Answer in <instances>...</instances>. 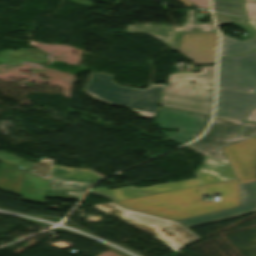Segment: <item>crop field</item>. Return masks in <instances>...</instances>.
<instances>
[{"mask_svg":"<svg viewBox=\"0 0 256 256\" xmlns=\"http://www.w3.org/2000/svg\"><path fill=\"white\" fill-rule=\"evenodd\" d=\"M220 191V202H203L200 186L116 201V203L164 218L177 220L239 205L238 181L231 180L203 186V193Z\"/></svg>","mask_w":256,"mask_h":256,"instance_id":"1","label":"crop field"},{"mask_svg":"<svg viewBox=\"0 0 256 256\" xmlns=\"http://www.w3.org/2000/svg\"><path fill=\"white\" fill-rule=\"evenodd\" d=\"M114 76L91 73L83 91L96 100L127 106L142 117L154 118L165 85L151 84L144 90L134 89L114 83L112 81Z\"/></svg>","mask_w":256,"mask_h":256,"instance_id":"2","label":"crop field"},{"mask_svg":"<svg viewBox=\"0 0 256 256\" xmlns=\"http://www.w3.org/2000/svg\"><path fill=\"white\" fill-rule=\"evenodd\" d=\"M202 73L172 74L162 96V106L210 115L213 105L215 66L201 67ZM189 81L195 82L194 84Z\"/></svg>","mask_w":256,"mask_h":256,"instance_id":"3","label":"crop field"},{"mask_svg":"<svg viewBox=\"0 0 256 256\" xmlns=\"http://www.w3.org/2000/svg\"><path fill=\"white\" fill-rule=\"evenodd\" d=\"M93 207L153 235L175 251L200 240L177 222L123 209L113 202Z\"/></svg>","mask_w":256,"mask_h":256,"instance_id":"4","label":"crop field"},{"mask_svg":"<svg viewBox=\"0 0 256 256\" xmlns=\"http://www.w3.org/2000/svg\"><path fill=\"white\" fill-rule=\"evenodd\" d=\"M241 123L214 117L208 132L200 140L185 147L230 165L222 147L256 135V124L245 122L239 138H236Z\"/></svg>","mask_w":256,"mask_h":256,"instance_id":"5","label":"crop field"},{"mask_svg":"<svg viewBox=\"0 0 256 256\" xmlns=\"http://www.w3.org/2000/svg\"><path fill=\"white\" fill-rule=\"evenodd\" d=\"M209 118L210 116L200 113L160 106L154 123L162 129L178 130L175 134L162 132L171 142L182 145L201 135Z\"/></svg>","mask_w":256,"mask_h":256,"instance_id":"6","label":"crop field"},{"mask_svg":"<svg viewBox=\"0 0 256 256\" xmlns=\"http://www.w3.org/2000/svg\"><path fill=\"white\" fill-rule=\"evenodd\" d=\"M218 86L256 93V51L243 56L221 57Z\"/></svg>","mask_w":256,"mask_h":256,"instance_id":"7","label":"crop field"},{"mask_svg":"<svg viewBox=\"0 0 256 256\" xmlns=\"http://www.w3.org/2000/svg\"><path fill=\"white\" fill-rule=\"evenodd\" d=\"M49 181L0 162V190L21 195V200L45 203Z\"/></svg>","mask_w":256,"mask_h":256,"instance_id":"8","label":"crop field"},{"mask_svg":"<svg viewBox=\"0 0 256 256\" xmlns=\"http://www.w3.org/2000/svg\"><path fill=\"white\" fill-rule=\"evenodd\" d=\"M223 149L241 184L256 180V136Z\"/></svg>","mask_w":256,"mask_h":256,"instance_id":"9","label":"crop field"},{"mask_svg":"<svg viewBox=\"0 0 256 256\" xmlns=\"http://www.w3.org/2000/svg\"><path fill=\"white\" fill-rule=\"evenodd\" d=\"M217 32L184 34L178 52L197 65L215 64Z\"/></svg>","mask_w":256,"mask_h":256,"instance_id":"10","label":"crop field"},{"mask_svg":"<svg viewBox=\"0 0 256 256\" xmlns=\"http://www.w3.org/2000/svg\"><path fill=\"white\" fill-rule=\"evenodd\" d=\"M241 200L242 206L206 214L202 216L192 217L179 220L187 228L219 221L256 211V181L241 185Z\"/></svg>","mask_w":256,"mask_h":256,"instance_id":"11","label":"crop field"},{"mask_svg":"<svg viewBox=\"0 0 256 256\" xmlns=\"http://www.w3.org/2000/svg\"><path fill=\"white\" fill-rule=\"evenodd\" d=\"M255 107V94L218 88L215 116L242 121L245 114Z\"/></svg>","mask_w":256,"mask_h":256,"instance_id":"12","label":"crop field"},{"mask_svg":"<svg viewBox=\"0 0 256 256\" xmlns=\"http://www.w3.org/2000/svg\"><path fill=\"white\" fill-rule=\"evenodd\" d=\"M214 13L218 26L233 23L249 33L248 40L243 42H239L222 33L220 56L247 54L256 48V31L248 26L245 19L216 12Z\"/></svg>","mask_w":256,"mask_h":256,"instance_id":"13","label":"crop field"},{"mask_svg":"<svg viewBox=\"0 0 256 256\" xmlns=\"http://www.w3.org/2000/svg\"><path fill=\"white\" fill-rule=\"evenodd\" d=\"M198 185H199V182L197 178H194V179H188L183 181H177V182H171V183H165V184L140 188V189H137L133 186H129V187H123V188H117V189H111V190H107L105 188L94 189V190H90V192L104 195L112 199L113 201H116V200L151 195L156 193L168 192V191H173V190H178V189H183V188H188V187H193Z\"/></svg>","mask_w":256,"mask_h":256,"instance_id":"14","label":"crop field"},{"mask_svg":"<svg viewBox=\"0 0 256 256\" xmlns=\"http://www.w3.org/2000/svg\"><path fill=\"white\" fill-rule=\"evenodd\" d=\"M100 178L102 177L87 169L56 165L54 167L52 183L50 186L85 190Z\"/></svg>","mask_w":256,"mask_h":256,"instance_id":"15","label":"crop field"},{"mask_svg":"<svg viewBox=\"0 0 256 256\" xmlns=\"http://www.w3.org/2000/svg\"><path fill=\"white\" fill-rule=\"evenodd\" d=\"M203 185L236 179L232 168L221 162L205 157L204 165L198 169Z\"/></svg>","mask_w":256,"mask_h":256,"instance_id":"16","label":"crop field"},{"mask_svg":"<svg viewBox=\"0 0 256 256\" xmlns=\"http://www.w3.org/2000/svg\"><path fill=\"white\" fill-rule=\"evenodd\" d=\"M0 160L48 180L54 164V161L45 158H41L38 163L32 164L3 151H0ZM29 168L31 169L30 171L28 170Z\"/></svg>","mask_w":256,"mask_h":256,"instance_id":"17","label":"crop field"},{"mask_svg":"<svg viewBox=\"0 0 256 256\" xmlns=\"http://www.w3.org/2000/svg\"><path fill=\"white\" fill-rule=\"evenodd\" d=\"M0 61L16 64L21 61L36 62L46 64V53L38 49L19 48L18 51L2 50L0 51Z\"/></svg>","mask_w":256,"mask_h":256,"instance_id":"18","label":"crop field"},{"mask_svg":"<svg viewBox=\"0 0 256 256\" xmlns=\"http://www.w3.org/2000/svg\"><path fill=\"white\" fill-rule=\"evenodd\" d=\"M216 31L212 24H197L194 10H187V18L182 27H176L172 35L170 47L177 50L183 33Z\"/></svg>","mask_w":256,"mask_h":256,"instance_id":"19","label":"crop field"},{"mask_svg":"<svg viewBox=\"0 0 256 256\" xmlns=\"http://www.w3.org/2000/svg\"><path fill=\"white\" fill-rule=\"evenodd\" d=\"M172 28L160 25H126V32L149 34L168 45Z\"/></svg>","mask_w":256,"mask_h":256,"instance_id":"20","label":"crop field"},{"mask_svg":"<svg viewBox=\"0 0 256 256\" xmlns=\"http://www.w3.org/2000/svg\"><path fill=\"white\" fill-rule=\"evenodd\" d=\"M213 8L216 11L225 12L241 17L245 16V11L242 2L227 1V0H213Z\"/></svg>","mask_w":256,"mask_h":256,"instance_id":"21","label":"crop field"},{"mask_svg":"<svg viewBox=\"0 0 256 256\" xmlns=\"http://www.w3.org/2000/svg\"><path fill=\"white\" fill-rule=\"evenodd\" d=\"M84 192L85 191L50 187L47 197L78 200Z\"/></svg>","mask_w":256,"mask_h":256,"instance_id":"22","label":"crop field"},{"mask_svg":"<svg viewBox=\"0 0 256 256\" xmlns=\"http://www.w3.org/2000/svg\"><path fill=\"white\" fill-rule=\"evenodd\" d=\"M244 3H245L248 18L256 19V3H248V2H244Z\"/></svg>","mask_w":256,"mask_h":256,"instance_id":"23","label":"crop field"},{"mask_svg":"<svg viewBox=\"0 0 256 256\" xmlns=\"http://www.w3.org/2000/svg\"><path fill=\"white\" fill-rule=\"evenodd\" d=\"M191 3H193L195 6L202 7L208 9V0H187Z\"/></svg>","mask_w":256,"mask_h":256,"instance_id":"24","label":"crop field"},{"mask_svg":"<svg viewBox=\"0 0 256 256\" xmlns=\"http://www.w3.org/2000/svg\"><path fill=\"white\" fill-rule=\"evenodd\" d=\"M73 4L92 8L93 2L86 0H70Z\"/></svg>","mask_w":256,"mask_h":256,"instance_id":"25","label":"crop field"},{"mask_svg":"<svg viewBox=\"0 0 256 256\" xmlns=\"http://www.w3.org/2000/svg\"><path fill=\"white\" fill-rule=\"evenodd\" d=\"M245 121L256 123V109L249 113Z\"/></svg>","mask_w":256,"mask_h":256,"instance_id":"26","label":"crop field"},{"mask_svg":"<svg viewBox=\"0 0 256 256\" xmlns=\"http://www.w3.org/2000/svg\"><path fill=\"white\" fill-rule=\"evenodd\" d=\"M249 24L256 29V22L249 20Z\"/></svg>","mask_w":256,"mask_h":256,"instance_id":"27","label":"crop field"},{"mask_svg":"<svg viewBox=\"0 0 256 256\" xmlns=\"http://www.w3.org/2000/svg\"><path fill=\"white\" fill-rule=\"evenodd\" d=\"M181 2H183L184 4L188 5V6H192L193 4L187 2L186 0H180Z\"/></svg>","mask_w":256,"mask_h":256,"instance_id":"28","label":"crop field"},{"mask_svg":"<svg viewBox=\"0 0 256 256\" xmlns=\"http://www.w3.org/2000/svg\"><path fill=\"white\" fill-rule=\"evenodd\" d=\"M244 1H249V2H256V0H244Z\"/></svg>","mask_w":256,"mask_h":256,"instance_id":"29","label":"crop field"},{"mask_svg":"<svg viewBox=\"0 0 256 256\" xmlns=\"http://www.w3.org/2000/svg\"><path fill=\"white\" fill-rule=\"evenodd\" d=\"M243 123H244V122H243ZM242 125H243V124H242ZM241 128H242V127H241ZM240 131H241V129H240ZM239 133H240V132H239ZM238 136H239V134H238ZM238 136H237V137H238Z\"/></svg>","mask_w":256,"mask_h":256,"instance_id":"30","label":"crop field"},{"mask_svg":"<svg viewBox=\"0 0 256 256\" xmlns=\"http://www.w3.org/2000/svg\"><path fill=\"white\" fill-rule=\"evenodd\" d=\"M238 1H241V0H238Z\"/></svg>","mask_w":256,"mask_h":256,"instance_id":"31","label":"crop field"}]
</instances>
